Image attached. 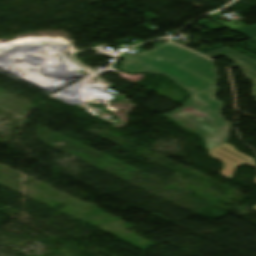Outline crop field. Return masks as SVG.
Listing matches in <instances>:
<instances>
[{
	"instance_id": "8a807250",
	"label": "crop field",
	"mask_w": 256,
	"mask_h": 256,
	"mask_svg": "<svg viewBox=\"0 0 256 256\" xmlns=\"http://www.w3.org/2000/svg\"><path fill=\"white\" fill-rule=\"evenodd\" d=\"M151 44L155 46L151 51L133 57L125 53L120 55L126 59L120 63L123 65L120 70L166 75L191 94L185 106L232 126L222 118L224 102L215 97L219 79L214 62L171 42L161 46Z\"/></svg>"
},
{
	"instance_id": "ac0d7876",
	"label": "crop field",
	"mask_w": 256,
	"mask_h": 256,
	"mask_svg": "<svg viewBox=\"0 0 256 256\" xmlns=\"http://www.w3.org/2000/svg\"><path fill=\"white\" fill-rule=\"evenodd\" d=\"M166 117L181 127L203 136L209 150L228 141L230 126L185 106Z\"/></svg>"
},
{
	"instance_id": "34b2d1b8",
	"label": "crop field",
	"mask_w": 256,
	"mask_h": 256,
	"mask_svg": "<svg viewBox=\"0 0 256 256\" xmlns=\"http://www.w3.org/2000/svg\"><path fill=\"white\" fill-rule=\"evenodd\" d=\"M209 154L213 158H218L223 162L224 166L219 175L229 180L238 165L245 164L256 168L254 159L234 150L233 146L227 143L210 150Z\"/></svg>"
},
{
	"instance_id": "412701ff",
	"label": "crop field",
	"mask_w": 256,
	"mask_h": 256,
	"mask_svg": "<svg viewBox=\"0 0 256 256\" xmlns=\"http://www.w3.org/2000/svg\"><path fill=\"white\" fill-rule=\"evenodd\" d=\"M210 58L224 56L234 61L236 64L232 68L238 67L244 71V75L254 82L255 88L253 89V96L256 97V60L251 59L243 54H240L228 47L212 50L204 54Z\"/></svg>"
},
{
	"instance_id": "f4fd0767",
	"label": "crop field",
	"mask_w": 256,
	"mask_h": 256,
	"mask_svg": "<svg viewBox=\"0 0 256 256\" xmlns=\"http://www.w3.org/2000/svg\"><path fill=\"white\" fill-rule=\"evenodd\" d=\"M234 30L241 34H244L252 39L256 38V25L239 28V29H234Z\"/></svg>"
},
{
	"instance_id": "dd49c442",
	"label": "crop field",
	"mask_w": 256,
	"mask_h": 256,
	"mask_svg": "<svg viewBox=\"0 0 256 256\" xmlns=\"http://www.w3.org/2000/svg\"><path fill=\"white\" fill-rule=\"evenodd\" d=\"M253 208H255V209H256V206H254Z\"/></svg>"
}]
</instances>
